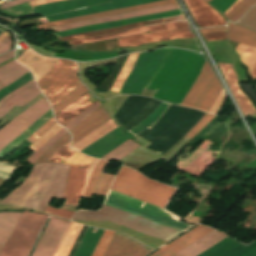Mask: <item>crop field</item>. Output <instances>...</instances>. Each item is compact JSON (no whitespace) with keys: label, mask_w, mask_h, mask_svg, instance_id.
Wrapping results in <instances>:
<instances>
[{"label":"crop field","mask_w":256,"mask_h":256,"mask_svg":"<svg viewBox=\"0 0 256 256\" xmlns=\"http://www.w3.org/2000/svg\"><path fill=\"white\" fill-rule=\"evenodd\" d=\"M205 60L197 53L173 48L141 53L120 93L157 90L153 98L180 105Z\"/></svg>","instance_id":"1"},{"label":"crop field","mask_w":256,"mask_h":256,"mask_svg":"<svg viewBox=\"0 0 256 256\" xmlns=\"http://www.w3.org/2000/svg\"><path fill=\"white\" fill-rule=\"evenodd\" d=\"M103 204L180 232L190 228L162 208L111 190ZM104 205L99 212L77 211L72 220L109 221L166 242L180 233Z\"/></svg>","instance_id":"2"},{"label":"crop field","mask_w":256,"mask_h":256,"mask_svg":"<svg viewBox=\"0 0 256 256\" xmlns=\"http://www.w3.org/2000/svg\"><path fill=\"white\" fill-rule=\"evenodd\" d=\"M143 32L148 34L135 35ZM135 35V36H130ZM130 36V37H125ZM118 39V46H139L143 43L173 40L176 38H191L193 34L188 29V22L184 15L164 18L160 20L134 23L113 29L87 32L60 38L62 41L69 40V44H84Z\"/></svg>","instance_id":"3"},{"label":"crop field","mask_w":256,"mask_h":256,"mask_svg":"<svg viewBox=\"0 0 256 256\" xmlns=\"http://www.w3.org/2000/svg\"><path fill=\"white\" fill-rule=\"evenodd\" d=\"M44 165L45 163L35 165L28 178L0 203L22 205ZM58 165L59 164L53 163L46 164L22 206L31 207L36 210ZM69 167L70 166L63 164L59 165L47 192L37 208V211L43 212L45 206L51 201L52 198L62 199L64 189L66 187Z\"/></svg>","instance_id":"4"},{"label":"crop field","mask_w":256,"mask_h":256,"mask_svg":"<svg viewBox=\"0 0 256 256\" xmlns=\"http://www.w3.org/2000/svg\"><path fill=\"white\" fill-rule=\"evenodd\" d=\"M69 221L51 217L31 256H54L68 228ZM82 226L70 223L55 256H68ZM102 229L89 227L74 256H90Z\"/></svg>","instance_id":"5"},{"label":"crop field","mask_w":256,"mask_h":256,"mask_svg":"<svg viewBox=\"0 0 256 256\" xmlns=\"http://www.w3.org/2000/svg\"><path fill=\"white\" fill-rule=\"evenodd\" d=\"M111 190L164 208L176 189L149 180L137 171L122 167Z\"/></svg>","instance_id":"6"},{"label":"crop field","mask_w":256,"mask_h":256,"mask_svg":"<svg viewBox=\"0 0 256 256\" xmlns=\"http://www.w3.org/2000/svg\"><path fill=\"white\" fill-rule=\"evenodd\" d=\"M77 71L78 66L75 62L59 59L51 70L37 82L52 107L64 99L80 83L76 76Z\"/></svg>","instance_id":"7"},{"label":"crop field","mask_w":256,"mask_h":256,"mask_svg":"<svg viewBox=\"0 0 256 256\" xmlns=\"http://www.w3.org/2000/svg\"><path fill=\"white\" fill-rule=\"evenodd\" d=\"M109 1H111V3L90 7V8H85V9H81V10H77V11H73L65 14H60L56 16H51V17H47V19L50 21L59 20V19L75 17V16H80V15H85V14H90V13H95L100 11L121 8V7L149 3V2L158 1V0H66V1L54 2L46 5L33 7V10L37 14L46 16V15H51L55 13L89 7V6H93V5H97V4H101Z\"/></svg>","instance_id":"8"},{"label":"crop field","mask_w":256,"mask_h":256,"mask_svg":"<svg viewBox=\"0 0 256 256\" xmlns=\"http://www.w3.org/2000/svg\"><path fill=\"white\" fill-rule=\"evenodd\" d=\"M47 216L24 211L0 256H28Z\"/></svg>","instance_id":"9"},{"label":"crop field","mask_w":256,"mask_h":256,"mask_svg":"<svg viewBox=\"0 0 256 256\" xmlns=\"http://www.w3.org/2000/svg\"><path fill=\"white\" fill-rule=\"evenodd\" d=\"M212 230L199 225L151 256H172ZM224 238L212 231L174 256H197Z\"/></svg>","instance_id":"10"},{"label":"crop field","mask_w":256,"mask_h":256,"mask_svg":"<svg viewBox=\"0 0 256 256\" xmlns=\"http://www.w3.org/2000/svg\"><path fill=\"white\" fill-rule=\"evenodd\" d=\"M222 86L207 60L181 105L208 112Z\"/></svg>","instance_id":"11"},{"label":"crop field","mask_w":256,"mask_h":256,"mask_svg":"<svg viewBox=\"0 0 256 256\" xmlns=\"http://www.w3.org/2000/svg\"><path fill=\"white\" fill-rule=\"evenodd\" d=\"M50 109L51 107L44 97L0 129V150Z\"/></svg>","instance_id":"12"},{"label":"crop field","mask_w":256,"mask_h":256,"mask_svg":"<svg viewBox=\"0 0 256 256\" xmlns=\"http://www.w3.org/2000/svg\"><path fill=\"white\" fill-rule=\"evenodd\" d=\"M153 249L115 232L103 256H146Z\"/></svg>","instance_id":"13"},{"label":"crop field","mask_w":256,"mask_h":256,"mask_svg":"<svg viewBox=\"0 0 256 256\" xmlns=\"http://www.w3.org/2000/svg\"><path fill=\"white\" fill-rule=\"evenodd\" d=\"M196 23L203 27L226 25L223 17L203 0H185Z\"/></svg>","instance_id":"14"},{"label":"crop field","mask_w":256,"mask_h":256,"mask_svg":"<svg viewBox=\"0 0 256 256\" xmlns=\"http://www.w3.org/2000/svg\"><path fill=\"white\" fill-rule=\"evenodd\" d=\"M199 256H256V241L246 247L227 237Z\"/></svg>","instance_id":"15"},{"label":"crop field","mask_w":256,"mask_h":256,"mask_svg":"<svg viewBox=\"0 0 256 256\" xmlns=\"http://www.w3.org/2000/svg\"><path fill=\"white\" fill-rule=\"evenodd\" d=\"M218 65L228 83V86H229L235 100L238 101L237 104L239 105L245 118L256 113V108L252 105L249 98L246 97L240 90V88L238 86V78H237V75H236L232 65H224V64H219V63H218Z\"/></svg>","instance_id":"16"},{"label":"crop field","mask_w":256,"mask_h":256,"mask_svg":"<svg viewBox=\"0 0 256 256\" xmlns=\"http://www.w3.org/2000/svg\"><path fill=\"white\" fill-rule=\"evenodd\" d=\"M178 8H179L178 4L156 7V8L131 12V13H127V14L109 16V17H104V18H99V19H94V20H89V21H84V22H79V23L54 27V28H49L47 30L60 32V31H64V30H68V29H72V28H76V27H83V26H88V25H91V24H97V23H103V22H108V21H113V20L136 17V16L152 14V13H157V12H162V11H167V10H173V9H178Z\"/></svg>","instance_id":"17"},{"label":"crop field","mask_w":256,"mask_h":256,"mask_svg":"<svg viewBox=\"0 0 256 256\" xmlns=\"http://www.w3.org/2000/svg\"><path fill=\"white\" fill-rule=\"evenodd\" d=\"M58 59L46 58L33 52L31 49L23 53L17 60L20 64L28 67L36 81L43 77Z\"/></svg>","instance_id":"18"},{"label":"crop field","mask_w":256,"mask_h":256,"mask_svg":"<svg viewBox=\"0 0 256 256\" xmlns=\"http://www.w3.org/2000/svg\"><path fill=\"white\" fill-rule=\"evenodd\" d=\"M181 14H183L182 11L180 9H178V10L157 13V14L144 16V17L126 19V20H121V21H117V22H108V23L97 24V25H92V26L83 27V28H77V29H73V30H69V31H65V32L56 33L54 35H56L58 37H62V36L70 35V34H76V33L96 30V29L112 28V27L121 26V25L129 24V23H133V22L153 20V19L181 15Z\"/></svg>","instance_id":"19"},{"label":"crop field","mask_w":256,"mask_h":256,"mask_svg":"<svg viewBox=\"0 0 256 256\" xmlns=\"http://www.w3.org/2000/svg\"><path fill=\"white\" fill-rule=\"evenodd\" d=\"M87 168L70 167L64 199L65 204L78 205L82 194Z\"/></svg>","instance_id":"20"},{"label":"crop field","mask_w":256,"mask_h":256,"mask_svg":"<svg viewBox=\"0 0 256 256\" xmlns=\"http://www.w3.org/2000/svg\"><path fill=\"white\" fill-rule=\"evenodd\" d=\"M175 2H176V0H163V1H158V2L149 3V4H145V5H139V6H133V7H128V8L116 9V10H111V11H106V12H101V13H96V14L71 18V19H67V20L57 21V22H53V23L41 24V25H37V27H39L41 30H43L45 28L58 26V25L69 24V23H73V22L81 21V20H86V19H90V18H99V17L109 16V15H114V14L131 12V11H136V10H140V9L166 5V4L175 3Z\"/></svg>","instance_id":"21"},{"label":"crop field","mask_w":256,"mask_h":256,"mask_svg":"<svg viewBox=\"0 0 256 256\" xmlns=\"http://www.w3.org/2000/svg\"><path fill=\"white\" fill-rule=\"evenodd\" d=\"M110 116L106 113V111L101 106L98 110H96L90 117H88L84 122L74 128L71 132L73 139L72 145L84 138L98 127L107 122Z\"/></svg>","instance_id":"22"},{"label":"crop field","mask_w":256,"mask_h":256,"mask_svg":"<svg viewBox=\"0 0 256 256\" xmlns=\"http://www.w3.org/2000/svg\"><path fill=\"white\" fill-rule=\"evenodd\" d=\"M96 101L98 100L89 91L74 101L72 104L61 110L59 113L54 115V117L58 123L64 126Z\"/></svg>","instance_id":"23"},{"label":"crop field","mask_w":256,"mask_h":256,"mask_svg":"<svg viewBox=\"0 0 256 256\" xmlns=\"http://www.w3.org/2000/svg\"><path fill=\"white\" fill-rule=\"evenodd\" d=\"M69 143L70 142H68L58 152H56L49 160V162L88 167L93 161L96 160L95 158L87 157L83 154L71 150Z\"/></svg>","instance_id":"24"},{"label":"crop field","mask_w":256,"mask_h":256,"mask_svg":"<svg viewBox=\"0 0 256 256\" xmlns=\"http://www.w3.org/2000/svg\"><path fill=\"white\" fill-rule=\"evenodd\" d=\"M39 94L41 93L38 88L36 89L34 83L21 90L20 92L14 94L2 105H0V119L16 105L21 107L37 97Z\"/></svg>","instance_id":"25"},{"label":"crop field","mask_w":256,"mask_h":256,"mask_svg":"<svg viewBox=\"0 0 256 256\" xmlns=\"http://www.w3.org/2000/svg\"><path fill=\"white\" fill-rule=\"evenodd\" d=\"M228 39L230 41L242 43L256 47V33L244 27H240L228 22Z\"/></svg>","instance_id":"26"},{"label":"crop field","mask_w":256,"mask_h":256,"mask_svg":"<svg viewBox=\"0 0 256 256\" xmlns=\"http://www.w3.org/2000/svg\"><path fill=\"white\" fill-rule=\"evenodd\" d=\"M27 71L29 70L20 66L15 60L2 66L0 68V89L18 79Z\"/></svg>","instance_id":"27"},{"label":"crop field","mask_w":256,"mask_h":256,"mask_svg":"<svg viewBox=\"0 0 256 256\" xmlns=\"http://www.w3.org/2000/svg\"><path fill=\"white\" fill-rule=\"evenodd\" d=\"M171 104H167L162 102L158 108L144 121H142L140 124H138L133 129L129 130L133 135L136 137L139 136L141 133H143L148 128L150 129L153 127L167 112V110L170 108Z\"/></svg>","instance_id":"28"},{"label":"crop field","mask_w":256,"mask_h":256,"mask_svg":"<svg viewBox=\"0 0 256 256\" xmlns=\"http://www.w3.org/2000/svg\"><path fill=\"white\" fill-rule=\"evenodd\" d=\"M21 213H0V251L9 238Z\"/></svg>","instance_id":"29"},{"label":"crop field","mask_w":256,"mask_h":256,"mask_svg":"<svg viewBox=\"0 0 256 256\" xmlns=\"http://www.w3.org/2000/svg\"><path fill=\"white\" fill-rule=\"evenodd\" d=\"M115 128H117V127L111 119L106 124H104L103 126L98 128L96 131H94L93 133H91L90 135H88L87 137H85L84 139L77 142L76 144H74L71 147L80 151V150L86 148L87 146H89L90 144H92L93 142H95L96 140H98L99 138H101L102 136H104L105 134L109 133L111 130H113Z\"/></svg>","instance_id":"30"},{"label":"crop field","mask_w":256,"mask_h":256,"mask_svg":"<svg viewBox=\"0 0 256 256\" xmlns=\"http://www.w3.org/2000/svg\"><path fill=\"white\" fill-rule=\"evenodd\" d=\"M205 1L208 3L210 0ZM255 3L256 0H237L223 14L226 19L236 22Z\"/></svg>","instance_id":"31"},{"label":"crop field","mask_w":256,"mask_h":256,"mask_svg":"<svg viewBox=\"0 0 256 256\" xmlns=\"http://www.w3.org/2000/svg\"><path fill=\"white\" fill-rule=\"evenodd\" d=\"M239 59L248 66V74L251 76L252 70L256 64V48L245 45H237L233 47Z\"/></svg>","instance_id":"32"},{"label":"crop field","mask_w":256,"mask_h":256,"mask_svg":"<svg viewBox=\"0 0 256 256\" xmlns=\"http://www.w3.org/2000/svg\"><path fill=\"white\" fill-rule=\"evenodd\" d=\"M138 55H139V53H132L129 55L126 63L124 64L123 68L121 69L120 73L118 74V76L110 90L111 92L118 93L123 82L125 81V79L129 75V73L131 72V70L133 68V64Z\"/></svg>","instance_id":"33"},{"label":"crop field","mask_w":256,"mask_h":256,"mask_svg":"<svg viewBox=\"0 0 256 256\" xmlns=\"http://www.w3.org/2000/svg\"><path fill=\"white\" fill-rule=\"evenodd\" d=\"M139 146H141V145L128 139L126 142H124L118 148L114 149L113 151H111L110 153H108L107 155H105L102 158L111 159V160H119V159L125 157L126 155H128L129 153H131L132 151H134L135 149H137Z\"/></svg>","instance_id":"34"},{"label":"crop field","mask_w":256,"mask_h":256,"mask_svg":"<svg viewBox=\"0 0 256 256\" xmlns=\"http://www.w3.org/2000/svg\"><path fill=\"white\" fill-rule=\"evenodd\" d=\"M108 163L109 161L99 160L97 166L95 165L96 167L91 175V178L89 180V183L87 185V188L83 196L93 197L99 178L101 176V173Z\"/></svg>","instance_id":"35"},{"label":"crop field","mask_w":256,"mask_h":256,"mask_svg":"<svg viewBox=\"0 0 256 256\" xmlns=\"http://www.w3.org/2000/svg\"><path fill=\"white\" fill-rule=\"evenodd\" d=\"M68 133L64 128L60 130L57 134H55L50 140H48L44 145H42L36 152H34L27 160L26 162L34 164L41 155L59 138H61L63 135Z\"/></svg>","instance_id":"36"},{"label":"crop field","mask_w":256,"mask_h":256,"mask_svg":"<svg viewBox=\"0 0 256 256\" xmlns=\"http://www.w3.org/2000/svg\"><path fill=\"white\" fill-rule=\"evenodd\" d=\"M89 91L86 89L83 84L81 83L69 96H67L64 100H62L57 106L53 108L54 114L59 112L61 109L69 105L71 102H73L75 99H77L82 94Z\"/></svg>","instance_id":"37"},{"label":"crop field","mask_w":256,"mask_h":256,"mask_svg":"<svg viewBox=\"0 0 256 256\" xmlns=\"http://www.w3.org/2000/svg\"><path fill=\"white\" fill-rule=\"evenodd\" d=\"M69 140H71V138L70 134L68 133L60 140H58L55 144H53L35 164L47 162L48 159Z\"/></svg>","instance_id":"38"},{"label":"crop field","mask_w":256,"mask_h":256,"mask_svg":"<svg viewBox=\"0 0 256 256\" xmlns=\"http://www.w3.org/2000/svg\"><path fill=\"white\" fill-rule=\"evenodd\" d=\"M31 79H33L32 74L30 72H27L21 78H19L15 82H13L11 85H9V86L3 88L2 90H0V99L2 97L6 96L7 94H9L10 92L16 90L17 88L23 86L24 84H26Z\"/></svg>","instance_id":"39"},{"label":"crop field","mask_w":256,"mask_h":256,"mask_svg":"<svg viewBox=\"0 0 256 256\" xmlns=\"http://www.w3.org/2000/svg\"><path fill=\"white\" fill-rule=\"evenodd\" d=\"M237 24L243 25L256 31V6L249 10Z\"/></svg>","instance_id":"40"},{"label":"crop field","mask_w":256,"mask_h":256,"mask_svg":"<svg viewBox=\"0 0 256 256\" xmlns=\"http://www.w3.org/2000/svg\"><path fill=\"white\" fill-rule=\"evenodd\" d=\"M99 101L96 102L94 105H92L90 108H88L85 112H83L81 115L76 117L74 120H72L70 123H68L66 127L69 131L73 129L76 125H78L80 122L85 120L88 116H90L96 109L100 107Z\"/></svg>","instance_id":"41"},{"label":"crop field","mask_w":256,"mask_h":256,"mask_svg":"<svg viewBox=\"0 0 256 256\" xmlns=\"http://www.w3.org/2000/svg\"><path fill=\"white\" fill-rule=\"evenodd\" d=\"M114 232L105 230L100 242L98 243L92 256H102L105 252Z\"/></svg>","instance_id":"42"},{"label":"crop field","mask_w":256,"mask_h":256,"mask_svg":"<svg viewBox=\"0 0 256 256\" xmlns=\"http://www.w3.org/2000/svg\"><path fill=\"white\" fill-rule=\"evenodd\" d=\"M56 123L57 122L54 119V117L50 118L35 133H33L30 138H27L26 140H28L32 143L35 142L37 139H39L47 130H49Z\"/></svg>","instance_id":"43"},{"label":"crop field","mask_w":256,"mask_h":256,"mask_svg":"<svg viewBox=\"0 0 256 256\" xmlns=\"http://www.w3.org/2000/svg\"><path fill=\"white\" fill-rule=\"evenodd\" d=\"M214 117V115L205 114L202 119L188 132L186 137L192 139L202 128H204L210 120Z\"/></svg>","instance_id":"44"},{"label":"crop field","mask_w":256,"mask_h":256,"mask_svg":"<svg viewBox=\"0 0 256 256\" xmlns=\"http://www.w3.org/2000/svg\"><path fill=\"white\" fill-rule=\"evenodd\" d=\"M63 127L60 126L58 123L54 125L47 133H45L37 142H35L30 148L32 150L38 149L46 140L52 137L55 133H57Z\"/></svg>","instance_id":"45"},{"label":"crop field","mask_w":256,"mask_h":256,"mask_svg":"<svg viewBox=\"0 0 256 256\" xmlns=\"http://www.w3.org/2000/svg\"><path fill=\"white\" fill-rule=\"evenodd\" d=\"M113 177V175L103 173L100 178L99 184L97 186V191L95 194L105 195Z\"/></svg>","instance_id":"46"},{"label":"crop field","mask_w":256,"mask_h":256,"mask_svg":"<svg viewBox=\"0 0 256 256\" xmlns=\"http://www.w3.org/2000/svg\"><path fill=\"white\" fill-rule=\"evenodd\" d=\"M16 166L0 162V177L8 180L9 176L15 170ZM0 178V186L7 180Z\"/></svg>","instance_id":"47"},{"label":"crop field","mask_w":256,"mask_h":256,"mask_svg":"<svg viewBox=\"0 0 256 256\" xmlns=\"http://www.w3.org/2000/svg\"><path fill=\"white\" fill-rule=\"evenodd\" d=\"M44 212L52 214V215H56L59 217L67 218V219H70L72 217V215L74 214L73 212H69V211H65V210H61V209H55L49 205L46 207Z\"/></svg>","instance_id":"48"},{"label":"crop field","mask_w":256,"mask_h":256,"mask_svg":"<svg viewBox=\"0 0 256 256\" xmlns=\"http://www.w3.org/2000/svg\"><path fill=\"white\" fill-rule=\"evenodd\" d=\"M236 0H212L211 3L213 6H215L218 10H220L222 13L231 6Z\"/></svg>","instance_id":"49"},{"label":"crop field","mask_w":256,"mask_h":256,"mask_svg":"<svg viewBox=\"0 0 256 256\" xmlns=\"http://www.w3.org/2000/svg\"><path fill=\"white\" fill-rule=\"evenodd\" d=\"M227 96H224V90L221 92V94L219 95V97L217 98V100L215 101V103L213 104L211 110L209 113H213L218 115L225 99Z\"/></svg>","instance_id":"50"},{"label":"crop field","mask_w":256,"mask_h":256,"mask_svg":"<svg viewBox=\"0 0 256 256\" xmlns=\"http://www.w3.org/2000/svg\"><path fill=\"white\" fill-rule=\"evenodd\" d=\"M206 41L227 39L226 32L203 35Z\"/></svg>","instance_id":"51"},{"label":"crop field","mask_w":256,"mask_h":256,"mask_svg":"<svg viewBox=\"0 0 256 256\" xmlns=\"http://www.w3.org/2000/svg\"><path fill=\"white\" fill-rule=\"evenodd\" d=\"M12 46L11 36L7 37L0 43V54L8 51Z\"/></svg>","instance_id":"52"},{"label":"crop field","mask_w":256,"mask_h":256,"mask_svg":"<svg viewBox=\"0 0 256 256\" xmlns=\"http://www.w3.org/2000/svg\"><path fill=\"white\" fill-rule=\"evenodd\" d=\"M226 30H227L226 27H219V28L203 29V30H199V32L201 34H205V33L218 32V31H226Z\"/></svg>","instance_id":"53"},{"label":"crop field","mask_w":256,"mask_h":256,"mask_svg":"<svg viewBox=\"0 0 256 256\" xmlns=\"http://www.w3.org/2000/svg\"><path fill=\"white\" fill-rule=\"evenodd\" d=\"M14 53H15V50L10 51V52L4 54L3 56H1V57H0V63H2V62H4V61H6V60H8V59H10V58H12V57H14Z\"/></svg>","instance_id":"54"},{"label":"crop field","mask_w":256,"mask_h":256,"mask_svg":"<svg viewBox=\"0 0 256 256\" xmlns=\"http://www.w3.org/2000/svg\"><path fill=\"white\" fill-rule=\"evenodd\" d=\"M27 1H30V0H17V1H12V2H9V3H6V4H2V6H4L5 8H8V7H11V6H14V5H17V4H20V3H24V2H27ZM3 7V8H4Z\"/></svg>","instance_id":"55"},{"label":"crop field","mask_w":256,"mask_h":256,"mask_svg":"<svg viewBox=\"0 0 256 256\" xmlns=\"http://www.w3.org/2000/svg\"><path fill=\"white\" fill-rule=\"evenodd\" d=\"M32 82H34V80H31L29 83H27L26 85H24V86L21 87L20 89L14 91V92L10 93L9 95H7L6 97L2 98V99L0 100V104L3 103V102H4L8 97H10L12 94H14V93L18 92L19 90H21V89L27 87V86L30 85ZM12 96H13V95H12Z\"/></svg>","instance_id":"56"},{"label":"crop field","mask_w":256,"mask_h":256,"mask_svg":"<svg viewBox=\"0 0 256 256\" xmlns=\"http://www.w3.org/2000/svg\"><path fill=\"white\" fill-rule=\"evenodd\" d=\"M53 1H59V0H36V1H31L29 3H30V6H34V5H39V4L53 2Z\"/></svg>","instance_id":"57"},{"label":"crop field","mask_w":256,"mask_h":256,"mask_svg":"<svg viewBox=\"0 0 256 256\" xmlns=\"http://www.w3.org/2000/svg\"><path fill=\"white\" fill-rule=\"evenodd\" d=\"M252 80H256V66L253 70L252 76H251Z\"/></svg>","instance_id":"58"},{"label":"crop field","mask_w":256,"mask_h":256,"mask_svg":"<svg viewBox=\"0 0 256 256\" xmlns=\"http://www.w3.org/2000/svg\"><path fill=\"white\" fill-rule=\"evenodd\" d=\"M8 35H10L9 33H3L1 36H0V41H2L4 38H6Z\"/></svg>","instance_id":"59"},{"label":"crop field","mask_w":256,"mask_h":256,"mask_svg":"<svg viewBox=\"0 0 256 256\" xmlns=\"http://www.w3.org/2000/svg\"><path fill=\"white\" fill-rule=\"evenodd\" d=\"M0 32H2V30H0Z\"/></svg>","instance_id":"60"}]
</instances>
